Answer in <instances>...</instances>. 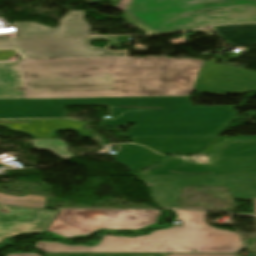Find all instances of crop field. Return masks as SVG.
<instances>
[{
    "label": "crop field",
    "mask_w": 256,
    "mask_h": 256,
    "mask_svg": "<svg viewBox=\"0 0 256 256\" xmlns=\"http://www.w3.org/2000/svg\"><path fill=\"white\" fill-rule=\"evenodd\" d=\"M161 207H175L182 186H227L233 199L256 198V175L141 176Z\"/></svg>",
    "instance_id": "crop-field-7"
},
{
    "label": "crop field",
    "mask_w": 256,
    "mask_h": 256,
    "mask_svg": "<svg viewBox=\"0 0 256 256\" xmlns=\"http://www.w3.org/2000/svg\"><path fill=\"white\" fill-rule=\"evenodd\" d=\"M7 256H38L36 254H7Z\"/></svg>",
    "instance_id": "crop-field-23"
},
{
    "label": "crop field",
    "mask_w": 256,
    "mask_h": 256,
    "mask_svg": "<svg viewBox=\"0 0 256 256\" xmlns=\"http://www.w3.org/2000/svg\"><path fill=\"white\" fill-rule=\"evenodd\" d=\"M170 253H46V256H166Z\"/></svg>",
    "instance_id": "crop-field-18"
},
{
    "label": "crop field",
    "mask_w": 256,
    "mask_h": 256,
    "mask_svg": "<svg viewBox=\"0 0 256 256\" xmlns=\"http://www.w3.org/2000/svg\"><path fill=\"white\" fill-rule=\"evenodd\" d=\"M89 35V24L84 11H71L60 21V36Z\"/></svg>",
    "instance_id": "crop-field-14"
},
{
    "label": "crop field",
    "mask_w": 256,
    "mask_h": 256,
    "mask_svg": "<svg viewBox=\"0 0 256 256\" xmlns=\"http://www.w3.org/2000/svg\"><path fill=\"white\" fill-rule=\"evenodd\" d=\"M183 225L127 238L104 235L97 246H64L37 241L44 252H172L236 253L242 247L237 232L221 231L205 222L208 212L176 210Z\"/></svg>",
    "instance_id": "crop-field-3"
},
{
    "label": "crop field",
    "mask_w": 256,
    "mask_h": 256,
    "mask_svg": "<svg viewBox=\"0 0 256 256\" xmlns=\"http://www.w3.org/2000/svg\"><path fill=\"white\" fill-rule=\"evenodd\" d=\"M214 138L215 137L133 138V142L145 145L161 154H191L201 151Z\"/></svg>",
    "instance_id": "crop-field-11"
},
{
    "label": "crop field",
    "mask_w": 256,
    "mask_h": 256,
    "mask_svg": "<svg viewBox=\"0 0 256 256\" xmlns=\"http://www.w3.org/2000/svg\"><path fill=\"white\" fill-rule=\"evenodd\" d=\"M57 211L0 205V243L21 233H43Z\"/></svg>",
    "instance_id": "crop-field-9"
},
{
    "label": "crop field",
    "mask_w": 256,
    "mask_h": 256,
    "mask_svg": "<svg viewBox=\"0 0 256 256\" xmlns=\"http://www.w3.org/2000/svg\"><path fill=\"white\" fill-rule=\"evenodd\" d=\"M169 256H234V255H169Z\"/></svg>",
    "instance_id": "crop-field-22"
},
{
    "label": "crop field",
    "mask_w": 256,
    "mask_h": 256,
    "mask_svg": "<svg viewBox=\"0 0 256 256\" xmlns=\"http://www.w3.org/2000/svg\"><path fill=\"white\" fill-rule=\"evenodd\" d=\"M94 38H70V39H11L0 40V49L15 48L16 53L23 59L42 58H80V57H105L128 56L124 53H111L107 49H96L88 45Z\"/></svg>",
    "instance_id": "crop-field-8"
},
{
    "label": "crop field",
    "mask_w": 256,
    "mask_h": 256,
    "mask_svg": "<svg viewBox=\"0 0 256 256\" xmlns=\"http://www.w3.org/2000/svg\"><path fill=\"white\" fill-rule=\"evenodd\" d=\"M119 146V153L115 161L134 171L145 166L153 165L162 157V155L145 147L133 144H124Z\"/></svg>",
    "instance_id": "crop-field-12"
},
{
    "label": "crop field",
    "mask_w": 256,
    "mask_h": 256,
    "mask_svg": "<svg viewBox=\"0 0 256 256\" xmlns=\"http://www.w3.org/2000/svg\"><path fill=\"white\" fill-rule=\"evenodd\" d=\"M64 105L109 106L101 126L133 123L124 137L217 136L236 118L233 106L191 107L188 96L0 100V118L63 117Z\"/></svg>",
    "instance_id": "crop-field-2"
},
{
    "label": "crop field",
    "mask_w": 256,
    "mask_h": 256,
    "mask_svg": "<svg viewBox=\"0 0 256 256\" xmlns=\"http://www.w3.org/2000/svg\"><path fill=\"white\" fill-rule=\"evenodd\" d=\"M167 159H169V158H164L156 167H153V168H150V169H148V170H146V171H144V172H141L140 175H149V172H150L151 170H154V169L160 167L161 165H163V163H164Z\"/></svg>",
    "instance_id": "crop-field-20"
},
{
    "label": "crop field",
    "mask_w": 256,
    "mask_h": 256,
    "mask_svg": "<svg viewBox=\"0 0 256 256\" xmlns=\"http://www.w3.org/2000/svg\"><path fill=\"white\" fill-rule=\"evenodd\" d=\"M110 45H112V44H115V45H117V42H116V37H110Z\"/></svg>",
    "instance_id": "crop-field-24"
},
{
    "label": "crop field",
    "mask_w": 256,
    "mask_h": 256,
    "mask_svg": "<svg viewBox=\"0 0 256 256\" xmlns=\"http://www.w3.org/2000/svg\"><path fill=\"white\" fill-rule=\"evenodd\" d=\"M9 57H15L14 50H0V61H8Z\"/></svg>",
    "instance_id": "crop-field-19"
},
{
    "label": "crop field",
    "mask_w": 256,
    "mask_h": 256,
    "mask_svg": "<svg viewBox=\"0 0 256 256\" xmlns=\"http://www.w3.org/2000/svg\"><path fill=\"white\" fill-rule=\"evenodd\" d=\"M0 126L10 132L27 134L32 139L53 138L61 129L75 130L83 137L91 136L89 131L83 129L84 122L63 119L0 120Z\"/></svg>",
    "instance_id": "crop-field-10"
},
{
    "label": "crop field",
    "mask_w": 256,
    "mask_h": 256,
    "mask_svg": "<svg viewBox=\"0 0 256 256\" xmlns=\"http://www.w3.org/2000/svg\"><path fill=\"white\" fill-rule=\"evenodd\" d=\"M15 75L20 78L16 79ZM256 72L175 58H84L0 62V99L242 93Z\"/></svg>",
    "instance_id": "crop-field-1"
},
{
    "label": "crop field",
    "mask_w": 256,
    "mask_h": 256,
    "mask_svg": "<svg viewBox=\"0 0 256 256\" xmlns=\"http://www.w3.org/2000/svg\"><path fill=\"white\" fill-rule=\"evenodd\" d=\"M0 203L44 207L45 197L34 196V195H27L25 197H20V196H9V195L0 194Z\"/></svg>",
    "instance_id": "crop-field-17"
},
{
    "label": "crop field",
    "mask_w": 256,
    "mask_h": 256,
    "mask_svg": "<svg viewBox=\"0 0 256 256\" xmlns=\"http://www.w3.org/2000/svg\"><path fill=\"white\" fill-rule=\"evenodd\" d=\"M129 0H121L119 4L116 6V9L123 11L124 7L128 3Z\"/></svg>",
    "instance_id": "crop-field-21"
},
{
    "label": "crop field",
    "mask_w": 256,
    "mask_h": 256,
    "mask_svg": "<svg viewBox=\"0 0 256 256\" xmlns=\"http://www.w3.org/2000/svg\"><path fill=\"white\" fill-rule=\"evenodd\" d=\"M213 29L232 47L256 45V24L214 26Z\"/></svg>",
    "instance_id": "crop-field-13"
},
{
    "label": "crop field",
    "mask_w": 256,
    "mask_h": 256,
    "mask_svg": "<svg viewBox=\"0 0 256 256\" xmlns=\"http://www.w3.org/2000/svg\"><path fill=\"white\" fill-rule=\"evenodd\" d=\"M19 29V37H53L57 36V29L47 27L36 22L12 23Z\"/></svg>",
    "instance_id": "crop-field-15"
},
{
    "label": "crop field",
    "mask_w": 256,
    "mask_h": 256,
    "mask_svg": "<svg viewBox=\"0 0 256 256\" xmlns=\"http://www.w3.org/2000/svg\"><path fill=\"white\" fill-rule=\"evenodd\" d=\"M202 154L204 162L172 158L150 175L256 174V136L218 137Z\"/></svg>",
    "instance_id": "crop-field-5"
},
{
    "label": "crop field",
    "mask_w": 256,
    "mask_h": 256,
    "mask_svg": "<svg viewBox=\"0 0 256 256\" xmlns=\"http://www.w3.org/2000/svg\"><path fill=\"white\" fill-rule=\"evenodd\" d=\"M254 214H256V200L253 201Z\"/></svg>",
    "instance_id": "crop-field-25"
},
{
    "label": "crop field",
    "mask_w": 256,
    "mask_h": 256,
    "mask_svg": "<svg viewBox=\"0 0 256 256\" xmlns=\"http://www.w3.org/2000/svg\"><path fill=\"white\" fill-rule=\"evenodd\" d=\"M127 23L152 34L256 22V0H130Z\"/></svg>",
    "instance_id": "crop-field-4"
},
{
    "label": "crop field",
    "mask_w": 256,
    "mask_h": 256,
    "mask_svg": "<svg viewBox=\"0 0 256 256\" xmlns=\"http://www.w3.org/2000/svg\"><path fill=\"white\" fill-rule=\"evenodd\" d=\"M154 210H67L61 209L45 232L72 238L91 235L97 229L137 230L157 223Z\"/></svg>",
    "instance_id": "crop-field-6"
},
{
    "label": "crop field",
    "mask_w": 256,
    "mask_h": 256,
    "mask_svg": "<svg viewBox=\"0 0 256 256\" xmlns=\"http://www.w3.org/2000/svg\"><path fill=\"white\" fill-rule=\"evenodd\" d=\"M31 145L38 150H50L63 160L72 156V154L66 150V144L58 139L33 140Z\"/></svg>",
    "instance_id": "crop-field-16"
}]
</instances>
